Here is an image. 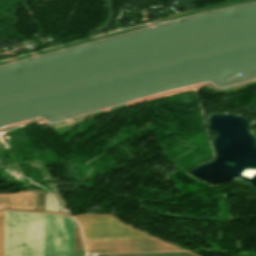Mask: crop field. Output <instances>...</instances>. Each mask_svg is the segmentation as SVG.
<instances>
[{
  "mask_svg": "<svg viewBox=\"0 0 256 256\" xmlns=\"http://www.w3.org/2000/svg\"><path fill=\"white\" fill-rule=\"evenodd\" d=\"M34 210H44V193L34 191Z\"/></svg>",
  "mask_w": 256,
  "mask_h": 256,
  "instance_id": "5",
  "label": "crop field"
},
{
  "mask_svg": "<svg viewBox=\"0 0 256 256\" xmlns=\"http://www.w3.org/2000/svg\"><path fill=\"white\" fill-rule=\"evenodd\" d=\"M3 207H16L33 209V192L0 194V209Z\"/></svg>",
  "mask_w": 256,
  "mask_h": 256,
  "instance_id": "4",
  "label": "crop field"
},
{
  "mask_svg": "<svg viewBox=\"0 0 256 256\" xmlns=\"http://www.w3.org/2000/svg\"><path fill=\"white\" fill-rule=\"evenodd\" d=\"M74 250H84L83 249V244H82V239L80 235L79 230H75V244H74Z\"/></svg>",
  "mask_w": 256,
  "mask_h": 256,
  "instance_id": "7",
  "label": "crop field"
},
{
  "mask_svg": "<svg viewBox=\"0 0 256 256\" xmlns=\"http://www.w3.org/2000/svg\"><path fill=\"white\" fill-rule=\"evenodd\" d=\"M76 220L81 227L84 239L145 237L110 217H87Z\"/></svg>",
  "mask_w": 256,
  "mask_h": 256,
  "instance_id": "3",
  "label": "crop field"
},
{
  "mask_svg": "<svg viewBox=\"0 0 256 256\" xmlns=\"http://www.w3.org/2000/svg\"><path fill=\"white\" fill-rule=\"evenodd\" d=\"M0 256H4V212L0 213Z\"/></svg>",
  "mask_w": 256,
  "mask_h": 256,
  "instance_id": "6",
  "label": "crop field"
},
{
  "mask_svg": "<svg viewBox=\"0 0 256 256\" xmlns=\"http://www.w3.org/2000/svg\"><path fill=\"white\" fill-rule=\"evenodd\" d=\"M87 253L178 250L152 238L84 240Z\"/></svg>",
  "mask_w": 256,
  "mask_h": 256,
  "instance_id": "2",
  "label": "crop field"
},
{
  "mask_svg": "<svg viewBox=\"0 0 256 256\" xmlns=\"http://www.w3.org/2000/svg\"><path fill=\"white\" fill-rule=\"evenodd\" d=\"M5 256H73V220L5 212Z\"/></svg>",
  "mask_w": 256,
  "mask_h": 256,
  "instance_id": "1",
  "label": "crop field"
}]
</instances>
